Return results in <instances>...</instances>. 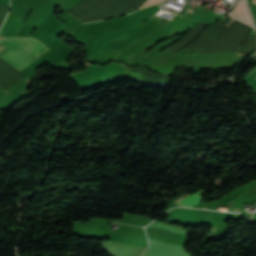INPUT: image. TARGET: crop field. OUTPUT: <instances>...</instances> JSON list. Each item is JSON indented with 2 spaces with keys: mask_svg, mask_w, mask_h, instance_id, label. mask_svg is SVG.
Here are the masks:
<instances>
[{
  "mask_svg": "<svg viewBox=\"0 0 256 256\" xmlns=\"http://www.w3.org/2000/svg\"><path fill=\"white\" fill-rule=\"evenodd\" d=\"M0 43L11 49L1 58L19 71L49 50L34 39L9 38L0 40Z\"/></svg>",
  "mask_w": 256,
  "mask_h": 256,
  "instance_id": "1",
  "label": "crop field"
},
{
  "mask_svg": "<svg viewBox=\"0 0 256 256\" xmlns=\"http://www.w3.org/2000/svg\"><path fill=\"white\" fill-rule=\"evenodd\" d=\"M22 23H23V21H19V20L7 17L5 23L0 31V35L6 36V37L16 36ZM0 37L5 38L2 36H0Z\"/></svg>",
  "mask_w": 256,
  "mask_h": 256,
  "instance_id": "2",
  "label": "crop field"
},
{
  "mask_svg": "<svg viewBox=\"0 0 256 256\" xmlns=\"http://www.w3.org/2000/svg\"><path fill=\"white\" fill-rule=\"evenodd\" d=\"M231 15L237 17L238 19H240L241 21L248 23V24H252L251 19H250V15L248 13V10L245 6V2L244 0L239 1L237 3V6L235 8V10L231 13Z\"/></svg>",
  "mask_w": 256,
  "mask_h": 256,
  "instance_id": "3",
  "label": "crop field"
},
{
  "mask_svg": "<svg viewBox=\"0 0 256 256\" xmlns=\"http://www.w3.org/2000/svg\"><path fill=\"white\" fill-rule=\"evenodd\" d=\"M205 192L203 189L189 195L188 197L183 198L181 201H179L177 204L181 206H187L192 207L198 202H200L204 197H201L200 194Z\"/></svg>",
  "mask_w": 256,
  "mask_h": 256,
  "instance_id": "4",
  "label": "crop field"
},
{
  "mask_svg": "<svg viewBox=\"0 0 256 256\" xmlns=\"http://www.w3.org/2000/svg\"><path fill=\"white\" fill-rule=\"evenodd\" d=\"M125 77L140 80L141 74L125 71Z\"/></svg>",
  "mask_w": 256,
  "mask_h": 256,
  "instance_id": "5",
  "label": "crop field"
},
{
  "mask_svg": "<svg viewBox=\"0 0 256 256\" xmlns=\"http://www.w3.org/2000/svg\"><path fill=\"white\" fill-rule=\"evenodd\" d=\"M161 0H148L146 3H144L141 7H139L138 9L140 8H143V7H146V6H149V5H152V4H155L157 2H159Z\"/></svg>",
  "mask_w": 256,
  "mask_h": 256,
  "instance_id": "6",
  "label": "crop field"
},
{
  "mask_svg": "<svg viewBox=\"0 0 256 256\" xmlns=\"http://www.w3.org/2000/svg\"><path fill=\"white\" fill-rule=\"evenodd\" d=\"M0 3H3L8 6L9 0H0Z\"/></svg>",
  "mask_w": 256,
  "mask_h": 256,
  "instance_id": "7",
  "label": "crop field"
},
{
  "mask_svg": "<svg viewBox=\"0 0 256 256\" xmlns=\"http://www.w3.org/2000/svg\"><path fill=\"white\" fill-rule=\"evenodd\" d=\"M185 193H186V192L180 194L179 196H181V195H183V194H185ZM179 196H177L173 201L175 202V200H176Z\"/></svg>",
  "mask_w": 256,
  "mask_h": 256,
  "instance_id": "8",
  "label": "crop field"
},
{
  "mask_svg": "<svg viewBox=\"0 0 256 256\" xmlns=\"http://www.w3.org/2000/svg\"><path fill=\"white\" fill-rule=\"evenodd\" d=\"M187 195H188V194H186V195L182 196V198H183V197H185V196H187ZM182 198H181V199H182ZM179 200H180V199L176 200V202H178ZM176 202H175V203H176Z\"/></svg>",
  "mask_w": 256,
  "mask_h": 256,
  "instance_id": "9",
  "label": "crop field"
},
{
  "mask_svg": "<svg viewBox=\"0 0 256 256\" xmlns=\"http://www.w3.org/2000/svg\"><path fill=\"white\" fill-rule=\"evenodd\" d=\"M253 3H256V0H252Z\"/></svg>",
  "mask_w": 256,
  "mask_h": 256,
  "instance_id": "10",
  "label": "crop field"
},
{
  "mask_svg": "<svg viewBox=\"0 0 256 256\" xmlns=\"http://www.w3.org/2000/svg\"><path fill=\"white\" fill-rule=\"evenodd\" d=\"M233 19H234V18H233ZM232 21H233V20H232ZM232 21H231V22H232ZM231 22H230V23H231ZM230 23H229V24H230ZM229 24H228V25H229ZM228 25H227V26H228ZM227 26H226V27H227ZM226 27H225V28H226Z\"/></svg>",
  "mask_w": 256,
  "mask_h": 256,
  "instance_id": "11",
  "label": "crop field"
}]
</instances>
